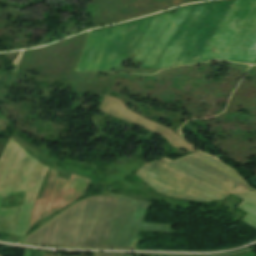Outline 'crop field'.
I'll use <instances>...</instances> for the list:
<instances>
[{
  "label": "crop field",
  "instance_id": "2",
  "mask_svg": "<svg viewBox=\"0 0 256 256\" xmlns=\"http://www.w3.org/2000/svg\"><path fill=\"white\" fill-rule=\"evenodd\" d=\"M135 174L172 197L208 202L224 200L231 193L244 200L238 206L249 213L243 221L256 229V193L248 190L230 168L205 154H191L174 162L163 158L145 163Z\"/></svg>",
  "mask_w": 256,
  "mask_h": 256
},
{
  "label": "crop field",
  "instance_id": "4",
  "mask_svg": "<svg viewBox=\"0 0 256 256\" xmlns=\"http://www.w3.org/2000/svg\"><path fill=\"white\" fill-rule=\"evenodd\" d=\"M52 253V252H51ZM44 256H55V255H53V254H50V255H44Z\"/></svg>",
  "mask_w": 256,
  "mask_h": 256
},
{
  "label": "crop field",
  "instance_id": "1",
  "mask_svg": "<svg viewBox=\"0 0 256 256\" xmlns=\"http://www.w3.org/2000/svg\"><path fill=\"white\" fill-rule=\"evenodd\" d=\"M148 205L112 194L86 199L34 231L22 243L134 249L140 229L168 231L167 225L142 223Z\"/></svg>",
  "mask_w": 256,
  "mask_h": 256
},
{
  "label": "crop field",
  "instance_id": "3",
  "mask_svg": "<svg viewBox=\"0 0 256 256\" xmlns=\"http://www.w3.org/2000/svg\"><path fill=\"white\" fill-rule=\"evenodd\" d=\"M34 163L7 142L0 156V232L22 236L28 229L47 175ZM24 191L22 206L1 209L2 198Z\"/></svg>",
  "mask_w": 256,
  "mask_h": 256
}]
</instances>
